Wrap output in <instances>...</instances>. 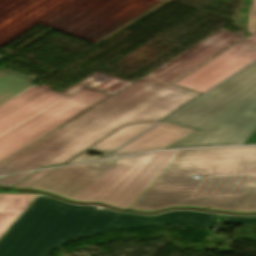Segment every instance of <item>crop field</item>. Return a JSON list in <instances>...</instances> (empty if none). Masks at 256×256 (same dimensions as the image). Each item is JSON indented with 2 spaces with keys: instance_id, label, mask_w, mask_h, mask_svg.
<instances>
[{
  "instance_id": "obj_1",
  "label": "crop field",
  "mask_w": 256,
  "mask_h": 256,
  "mask_svg": "<svg viewBox=\"0 0 256 256\" xmlns=\"http://www.w3.org/2000/svg\"><path fill=\"white\" fill-rule=\"evenodd\" d=\"M244 34L242 31L236 34L224 29L218 31L2 161L0 174L64 163L123 125L161 120L199 95L171 85L243 39Z\"/></svg>"
},
{
  "instance_id": "obj_2",
  "label": "crop field",
  "mask_w": 256,
  "mask_h": 256,
  "mask_svg": "<svg viewBox=\"0 0 256 256\" xmlns=\"http://www.w3.org/2000/svg\"><path fill=\"white\" fill-rule=\"evenodd\" d=\"M251 193H256V146L185 150L129 210L193 206L240 212Z\"/></svg>"
},
{
  "instance_id": "obj_3",
  "label": "crop field",
  "mask_w": 256,
  "mask_h": 256,
  "mask_svg": "<svg viewBox=\"0 0 256 256\" xmlns=\"http://www.w3.org/2000/svg\"><path fill=\"white\" fill-rule=\"evenodd\" d=\"M39 197L0 241V256H47L76 237L111 230L186 224L211 229L218 215L168 212L156 217L96 210Z\"/></svg>"
},
{
  "instance_id": "obj_4",
  "label": "crop field",
  "mask_w": 256,
  "mask_h": 256,
  "mask_svg": "<svg viewBox=\"0 0 256 256\" xmlns=\"http://www.w3.org/2000/svg\"><path fill=\"white\" fill-rule=\"evenodd\" d=\"M165 122L194 130L166 149L242 145L256 130V64Z\"/></svg>"
},
{
  "instance_id": "obj_5",
  "label": "crop field",
  "mask_w": 256,
  "mask_h": 256,
  "mask_svg": "<svg viewBox=\"0 0 256 256\" xmlns=\"http://www.w3.org/2000/svg\"><path fill=\"white\" fill-rule=\"evenodd\" d=\"M110 96L85 87L66 96L31 86L0 106V162Z\"/></svg>"
},
{
  "instance_id": "obj_6",
  "label": "crop field",
  "mask_w": 256,
  "mask_h": 256,
  "mask_svg": "<svg viewBox=\"0 0 256 256\" xmlns=\"http://www.w3.org/2000/svg\"><path fill=\"white\" fill-rule=\"evenodd\" d=\"M179 152L162 151L121 158L74 200L128 209Z\"/></svg>"
},
{
  "instance_id": "obj_7",
  "label": "crop field",
  "mask_w": 256,
  "mask_h": 256,
  "mask_svg": "<svg viewBox=\"0 0 256 256\" xmlns=\"http://www.w3.org/2000/svg\"><path fill=\"white\" fill-rule=\"evenodd\" d=\"M255 60L256 32L173 85L203 94Z\"/></svg>"
},
{
  "instance_id": "obj_8",
  "label": "crop field",
  "mask_w": 256,
  "mask_h": 256,
  "mask_svg": "<svg viewBox=\"0 0 256 256\" xmlns=\"http://www.w3.org/2000/svg\"><path fill=\"white\" fill-rule=\"evenodd\" d=\"M118 159L58 168L28 189L44 191L73 200Z\"/></svg>"
},
{
  "instance_id": "obj_9",
  "label": "crop field",
  "mask_w": 256,
  "mask_h": 256,
  "mask_svg": "<svg viewBox=\"0 0 256 256\" xmlns=\"http://www.w3.org/2000/svg\"><path fill=\"white\" fill-rule=\"evenodd\" d=\"M190 131L191 130L162 122L108 157L164 149Z\"/></svg>"
},
{
  "instance_id": "obj_10",
  "label": "crop field",
  "mask_w": 256,
  "mask_h": 256,
  "mask_svg": "<svg viewBox=\"0 0 256 256\" xmlns=\"http://www.w3.org/2000/svg\"><path fill=\"white\" fill-rule=\"evenodd\" d=\"M157 123L158 122L125 126L67 164L100 159L102 158L101 156L90 157L86 155V153L88 151L104 152L103 154L105 156Z\"/></svg>"
},
{
  "instance_id": "obj_11",
  "label": "crop field",
  "mask_w": 256,
  "mask_h": 256,
  "mask_svg": "<svg viewBox=\"0 0 256 256\" xmlns=\"http://www.w3.org/2000/svg\"><path fill=\"white\" fill-rule=\"evenodd\" d=\"M38 79L17 73L8 68H0V105L18 95Z\"/></svg>"
},
{
  "instance_id": "obj_12",
  "label": "crop field",
  "mask_w": 256,
  "mask_h": 256,
  "mask_svg": "<svg viewBox=\"0 0 256 256\" xmlns=\"http://www.w3.org/2000/svg\"><path fill=\"white\" fill-rule=\"evenodd\" d=\"M129 84L130 83L96 72L88 78L84 79L83 81L79 82L78 84L74 85L70 89L63 92V94L69 95L74 91L78 90L79 88L85 86L113 95L124 87L128 86Z\"/></svg>"
},
{
  "instance_id": "obj_13",
  "label": "crop field",
  "mask_w": 256,
  "mask_h": 256,
  "mask_svg": "<svg viewBox=\"0 0 256 256\" xmlns=\"http://www.w3.org/2000/svg\"><path fill=\"white\" fill-rule=\"evenodd\" d=\"M38 195L0 194V211L24 212Z\"/></svg>"
},
{
  "instance_id": "obj_14",
  "label": "crop field",
  "mask_w": 256,
  "mask_h": 256,
  "mask_svg": "<svg viewBox=\"0 0 256 256\" xmlns=\"http://www.w3.org/2000/svg\"><path fill=\"white\" fill-rule=\"evenodd\" d=\"M21 214L22 213L0 212V237Z\"/></svg>"
},
{
  "instance_id": "obj_15",
  "label": "crop field",
  "mask_w": 256,
  "mask_h": 256,
  "mask_svg": "<svg viewBox=\"0 0 256 256\" xmlns=\"http://www.w3.org/2000/svg\"><path fill=\"white\" fill-rule=\"evenodd\" d=\"M219 220L223 222H229V223L256 225V218H237V217L221 216Z\"/></svg>"
},
{
  "instance_id": "obj_16",
  "label": "crop field",
  "mask_w": 256,
  "mask_h": 256,
  "mask_svg": "<svg viewBox=\"0 0 256 256\" xmlns=\"http://www.w3.org/2000/svg\"><path fill=\"white\" fill-rule=\"evenodd\" d=\"M55 169L52 170H46V171H40L38 173H36L35 175H33L32 177H30L29 179L21 182L19 185H17L16 187L19 188H27L28 186H30L31 184H33L34 182H36L37 180H39L40 178H42L43 176L47 175L48 173L52 172Z\"/></svg>"
},
{
  "instance_id": "obj_17",
  "label": "crop field",
  "mask_w": 256,
  "mask_h": 256,
  "mask_svg": "<svg viewBox=\"0 0 256 256\" xmlns=\"http://www.w3.org/2000/svg\"><path fill=\"white\" fill-rule=\"evenodd\" d=\"M33 172L31 173H25V174H21V175H16V176H12L3 180H0V185L3 186H7L10 187L18 182H20L21 180L27 178L29 175H31Z\"/></svg>"
},
{
  "instance_id": "obj_18",
  "label": "crop field",
  "mask_w": 256,
  "mask_h": 256,
  "mask_svg": "<svg viewBox=\"0 0 256 256\" xmlns=\"http://www.w3.org/2000/svg\"><path fill=\"white\" fill-rule=\"evenodd\" d=\"M256 31V0H253V4L250 7L249 23L247 32L252 33Z\"/></svg>"
},
{
  "instance_id": "obj_19",
  "label": "crop field",
  "mask_w": 256,
  "mask_h": 256,
  "mask_svg": "<svg viewBox=\"0 0 256 256\" xmlns=\"http://www.w3.org/2000/svg\"><path fill=\"white\" fill-rule=\"evenodd\" d=\"M242 213L256 212V194H251L247 203L243 207Z\"/></svg>"
},
{
  "instance_id": "obj_20",
  "label": "crop field",
  "mask_w": 256,
  "mask_h": 256,
  "mask_svg": "<svg viewBox=\"0 0 256 256\" xmlns=\"http://www.w3.org/2000/svg\"><path fill=\"white\" fill-rule=\"evenodd\" d=\"M256 144V131L250 136V138L243 144Z\"/></svg>"
}]
</instances>
